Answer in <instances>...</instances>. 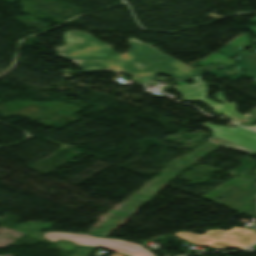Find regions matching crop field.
<instances>
[{
    "label": "crop field",
    "mask_w": 256,
    "mask_h": 256,
    "mask_svg": "<svg viewBox=\"0 0 256 256\" xmlns=\"http://www.w3.org/2000/svg\"><path fill=\"white\" fill-rule=\"evenodd\" d=\"M65 46L57 47L58 56L71 60H87L83 71L126 72L132 80L146 82L152 74H165L181 83L201 73L185 64L131 38L127 42L132 49L124 54L113 52L105 45L84 32L69 31L64 34Z\"/></svg>",
    "instance_id": "8a807250"
},
{
    "label": "crop field",
    "mask_w": 256,
    "mask_h": 256,
    "mask_svg": "<svg viewBox=\"0 0 256 256\" xmlns=\"http://www.w3.org/2000/svg\"><path fill=\"white\" fill-rule=\"evenodd\" d=\"M173 235L201 247L211 246L220 250L233 246L242 249L256 241V231L238 227H233L230 231L207 230L203 235L185 231Z\"/></svg>",
    "instance_id": "ac0d7876"
},
{
    "label": "crop field",
    "mask_w": 256,
    "mask_h": 256,
    "mask_svg": "<svg viewBox=\"0 0 256 256\" xmlns=\"http://www.w3.org/2000/svg\"><path fill=\"white\" fill-rule=\"evenodd\" d=\"M43 236L51 241L66 239L78 245L102 247L114 252H120L130 256H154L153 253L143 249L141 245L120 240L96 238L88 235L68 233H45L43 234Z\"/></svg>",
    "instance_id": "34b2d1b8"
},
{
    "label": "crop field",
    "mask_w": 256,
    "mask_h": 256,
    "mask_svg": "<svg viewBox=\"0 0 256 256\" xmlns=\"http://www.w3.org/2000/svg\"><path fill=\"white\" fill-rule=\"evenodd\" d=\"M203 126L212 129V135L235 144L246 147L256 152V133L243 127L227 128L205 123Z\"/></svg>",
    "instance_id": "412701ff"
},
{
    "label": "crop field",
    "mask_w": 256,
    "mask_h": 256,
    "mask_svg": "<svg viewBox=\"0 0 256 256\" xmlns=\"http://www.w3.org/2000/svg\"><path fill=\"white\" fill-rule=\"evenodd\" d=\"M235 58L240 62L235 67L244 70V73L232 77H227L218 71L209 73L217 77H227L232 80H235L242 76H249L256 80V54L244 51L238 54ZM254 84H256V81Z\"/></svg>",
    "instance_id": "f4fd0767"
},
{
    "label": "crop field",
    "mask_w": 256,
    "mask_h": 256,
    "mask_svg": "<svg viewBox=\"0 0 256 256\" xmlns=\"http://www.w3.org/2000/svg\"><path fill=\"white\" fill-rule=\"evenodd\" d=\"M192 80H195V83L191 85L182 83L173 87L182 94V99H198L206 96L207 84L201 77L198 76Z\"/></svg>",
    "instance_id": "dd49c442"
},
{
    "label": "crop field",
    "mask_w": 256,
    "mask_h": 256,
    "mask_svg": "<svg viewBox=\"0 0 256 256\" xmlns=\"http://www.w3.org/2000/svg\"><path fill=\"white\" fill-rule=\"evenodd\" d=\"M215 97L218 100L223 101L226 105L223 108H218L217 105L219 103H217V102L211 101L206 98L199 99V100L207 103L210 107L214 108L215 109L214 111L216 113L223 114V115L233 119L237 123L250 121V119L248 117L242 116L235 112L236 102L227 103L224 101L222 95H215Z\"/></svg>",
    "instance_id": "e52e79f7"
},
{
    "label": "crop field",
    "mask_w": 256,
    "mask_h": 256,
    "mask_svg": "<svg viewBox=\"0 0 256 256\" xmlns=\"http://www.w3.org/2000/svg\"><path fill=\"white\" fill-rule=\"evenodd\" d=\"M206 141L214 143V144H217V145L225 147V148H231L233 150H240V151H244V152H247V153H255V152L250 151V150H248L246 148L240 147L238 145L232 144L230 142L224 141V140L216 138L214 136L206 139Z\"/></svg>",
    "instance_id": "d8731c3e"
},
{
    "label": "crop field",
    "mask_w": 256,
    "mask_h": 256,
    "mask_svg": "<svg viewBox=\"0 0 256 256\" xmlns=\"http://www.w3.org/2000/svg\"><path fill=\"white\" fill-rule=\"evenodd\" d=\"M242 49L240 47L225 46L218 52L234 57Z\"/></svg>",
    "instance_id": "5a996713"
},
{
    "label": "crop field",
    "mask_w": 256,
    "mask_h": 256,
    "mask_svg": "<svg viewBox=\"0 0 256 256\" xmlns=\"http://www.w3.org/2000/svg\"><path fill=\"white\" fill-rule=\"evenodd\" d=\"M220 68H224V67L221 65H209V66L197 67L196 69L204 72V71L220 69Z\"/></svg>",
    "instance_id": "3316defc"
},
{
    "label": "crop field",
    "mask_w": 256,
    "mask_h": 256,
    "mask_svg": "<svg viewBox=\"0 0 256 256\" xmlns=\"http://www.w3.org/2000/svg\"><path fill=\"white\" fill-rule=\"evenodd\" d=\"M76 63L77 66L83 67L84 65H86V61H74Z\"/></svg>",
    "instance_id": "28ad6ade"
},
{
    "label": "crop field",
    "mask_w": 256,
    "mask_h": 256,
    "mask_svg": "<svg viewBox=\"0 0 256 256\" xmlns=\"http://www.w3.org/2000/svg\"><path fill=\"white\" fill-rule=\"evenodd\" d=\"M249 128H252V129L256 130V125L250 126Z\"/></svg>",
    "instance_id": "d1516ede"
},
{
    "label": "crop field",
    "mask_w": 256,
    "mask_h": 256,
    "mask_svg": "<svg viewBox=\"0 0 256 256\" xmlns=\"http://www.w3.org/2000/svg\"><path fill=\"white\" fill-rule=\"evenodd\" d=\"M225 104H220L218 107H223Z\"/></svg>",
    "instance_id": "22f410ed"
},
{
    "label": "crop field",
    "mask_w": 256,
    "mask_h": 256,
    "mask_svg": "<svg viewBox=\"0 0 256 256\" xmlns=\"http://www.w3.org/2000/svg\"><path fill=\"white\" fill-rule=\"evenodd\" d=\"M256 43V41H254Z\"/></svg>",
    "instance_id": "cbeb9de0"
}]
</instances>
